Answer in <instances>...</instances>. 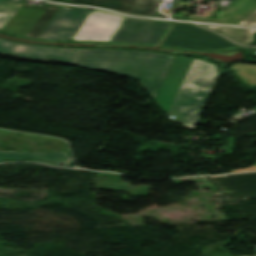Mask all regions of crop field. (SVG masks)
I'll use <instances>...</instances> for the list:
<instances>
[{"instance_id": "obj_2", "label": "crop field", "mask_w": 256, "mask_h": 256, "mask_svg": "<svg viewBox=\"0 0 256 256\" xmlns=\"http://www.w3.org/2000/svg\"><path fill=\"white\" fill-rule=\"evenodd\" d=\"M218 76L216 65L199 59L194 60L168 114L169 117L177 116L174 121L194 128Z\"/></svg>"}, {"instance_id": "obj_4", "label": "crop field", "mask_w": 256, "mask_h": 256, "mask_svg": "<svg viewBox=\"0 0 256 256\" xmlns=\"http://www.w3.org/2000/svg\"><path fill=\"white\" fill-rule=\"evenodd\" d=\"M82 49L18 43L0 39V55L74 65Z\"/></svg>"}, {"instance_id": "obj_10", "label": "crop field", "mask_w": 256, "mask_h": 256, "mask_svg": "<svg viewBox=\"0 0 256 256\" xmlns=\"http://www.w3.org/2000/svg\"><path fill=\"white\" fill-rule=\"evenodd\" d=\"M159 0H68L70 4L92 5L139 15H156Z\"/></svg>"}, {"instance_id": "obj_3", "label": "crop field", "mask_w": 256, "mask_h": 256, "mask_svg": "<svg viewBox=\"0 0 256 256\" xmlns=\"http://www.w3.org/2000/svg\"><path fill=\"white\" fill-rule=\"evenodd\" d=\"M161 45L188 50H211L229 47H242L219 35L185 23H176Z\"/></svg>"}, {"instance_id": "obj_11", "label": "crop field", "mask_w": 256, "mask_h": 256, "mask_svg": "<svg viewBox=\"0 0 256 256\" xmlns=\"http://www.w3.org/2000/svg\"><path fill=\"white\" fill-rule=\"evenodd\" d=\"M43 10L19 9L0 30L3 33L25 37Z\"/></svg>"}, {"instance_id": "obj_17", "label": "crop field", "mask_w": 256, "mask_h": 256, "mask_svg": "<svg viewBox=\"0 0 256 256\" xmlns=\"http://www.w3.org/2000/svg\"><path fill=\"white\" fill-rule=\"evenodd\" d=\"M255 31L256 30L233 28L224 35H226L227 37H229L237 42H240L243 44H250L253 42L252 36Z\"/></svg>"}, {"instance_id": "obj_9", "label": "crop field", "mask_w": 256, "mask_h": 256, "mask_svg": "<svg viewBox=\"0 0 256 256\" xmlns=\"http://www.w3.org/2000/svg\"><path fill=\"white\" fill-rule=\"evenodd\" d=\"M192 60L193 59L187 57H176L161 85L156 100L167 113L177 95Z\"/></svg>"}, {"instance_id": "obj_13", "label": "crop field", "mask_w": 256, "mask_h": 256, "mask_svg": "<svg viewBox=\"0 0 256 256\" xmlns=\"http://www.w3.org/2000/svg\"><path fill=\"white\" fill-rule=\"evenodd\" d=\"M27 157L38 158V159L56 163V164H68L69 162H71V158L65 155L64 152H58V153H16L14 151L0 152V160L5 158L23 159Z\"/></svg>"}, {"instance_id": "obj_12", "label": "crop field", "mask_w": 256, "mask_h": 256, "mask_svg": "<svg viewBox=\"0 0 256 256\" xmlns=\"http://www.w3.org/2000/svg\"><path fill=\"white\" fill-rule=\"evenodd\" d=\"M23 7L45 9L44 12L41 14V16L38 18V20L36 21V23L30 29L27 35L28 38L38 39V37L41 35V33L49 24L52 17L59 11L61 6L49 4L47 7H37V6L24 3Z\"/></svg>"}, {"instance_id": "obj_15", "label": "crop field", "mask_w": 256, "mask_h": 256, "mask_svg": "<svg viewBox=\"0 0 256 256\" xmlns=\"http://www.w3.org/2000/svg\"><path fill=\"white\" fill-rule=\"evenodd\" d=\"M26 0H0V29Z\"/></svg>"}, {"instance_id": "obj_8", "label": "crop field", "mask_w": 256, "mask_h": 256, "mask_svg": "<svg viewBox=\"0 0 256 256\" xmlns=\"http://www.w3.org/2000/svg\"><path fill=\"white\" fill-rule=\"evenodd\" d=\"M88 11L62 6L39 39L69 42Z\"/></svg>"}, {"instance_id": "obj_6", "label": "crop field", "mask_w": 256, "mask_h": 256, "mask_svg": "<svg viewBox=\"0 0 256 256\" xmlns=\"http://www.w3.org/2000/svg\"><path fill=\"white\" fill-rule=\"evenodd\" d=\"M171 24L126 17L112 42L158 44Z\"/></svg>"}, {"instance_id": "obj_21", "label": "crop field", "mask_w": 256, "mask_h": 256, "mask_svg": "<svg viewBox=\"0 0 256 256\" xmlns=\"http://www.w3.org/2000/svg\"><path fill=\"white\" fill-rule=\"evenodd\" d=\"M52 1H57V2H60L61 0H52Z\"/></svg>"}, {"instance_id": "obj_16", "label": "crop field", "mask_w": 256, "mask_h": 256, "mask_svg": "<svg viewBox=\"0 0 256 256\" xmlns=\"http://www.w3.org/2000/svg\"><path fill=\"white\" fill-rule=\"evenodd\" d=\"M231 69H238L237 76L246 84L256 85V66L235 64Z\"/></svg>"}, {"instance_id": "obj_19", "label": "crop field", "mask_w": 256, "mask_h": 256, "mask_svg": "<svg viewBox=\"0 0 256 256\" xmlns=\"http://www.w3.org/2000/svg\"><path fill=\"white\" fill-rule=\"evenodd\" d=\"M206 27L213 29V30H217L222 34L226 33L228 30L231 29V27H223V26H206Z\"/></svg>"}, {"instance_id": "obj_14", "label": "crop field", "mask_w": 256, "mask_h": 256, "mask_svg": "<svg viewBox=\"0 0 256 256\" xmlns=\"http://www.w3.org/2000/svg\"><path fill=\"white\" fill-rule=\"evenodd\" d=\"M48 192L22 191L14 189L0 188V197L15 200H42L47 198Z\"/></svg>"}, {"instance_id": "obj_20", "label": "crop field", "mask_w": 256, "mask_h": 256, "mask_svg": "<svg viewBox=\"0 0 256 256\" xmlns=\"http://www.w3.org/2000/svg\"><path fill=\"white\" fill-rule=\"evenodd\" d=\"M255 170H256V166H252V167L247 168V169H238V170L232 171L231 173H235V172H245V171H255Z\"/></svg>"}, {"instance_id": "obj_18", "label": "crop field", "mask_w": 256, "mask_h": 256, "mask_svg": "<svg viewBox=\"0 0 256 256\" xmlns=\"http://www.w3.org/2000/svg\"><path fill=\"white\" fill-rule=\"evenodd\" d=\"M240 25L256 26V11L239 23Z\"/></svg>"}, {"instance_id": "obj_5", "label": "crop field", "mask_w": 256, "mask_h": 256, "mask_svg": "<svg viewBox=\"0 0 256 256\" xmlns=\"http://www.w3.org/2000/svg\"><path fill=\"white\" fill-rule=\"evenodd\" d=\"M125 17L90 10L71 41L110 42Z\"/></svg>"}, {"instance_id": "obj_7", "label": "crop field", "mask_w": 256, "mask_h": 256, "mask_svg": "<svg viewBox=\"0 0 256 256\" xmlns=\"http://www.w3.org/2000/svg\"><path fill=\"white\" fill-rule=\"evenodd\" d=\"M207 180L218 186L216 193L225 197V204L236 205L249 198L256 199V173L208 176ZM230 191L232 194L229 193Z\"/></svg>"}, {"instance_id": "obj_1", "label": "crop field", "mask_w": 256, "mask_h": 256, "mask_svg": "<svg viewBox=\"0 0 256 256\" xmlns=\"http://www.w3.org/2000/svg\"><path fill=\"white\" fill-rule=\"evenodd\" d=\"M174 58L145 51L83 49L75 66L137 79L155 99Z\"/></svg>"}]
</instances>
